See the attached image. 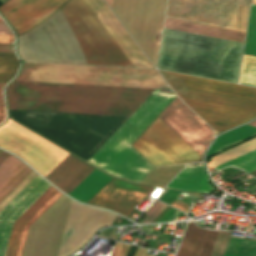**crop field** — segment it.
Returning a JSON list of instances; mask_svg holds the SVG:
<instances>
[{"instance_id":"39","label":"crop field","mask_w":256,"mask_h":256,"mask_svg":"<svg viewBox=\"0 0 256 256\" xmlns=\"http://www.w3.org/2000/svg\"><path fill=\"white\" fill-rule=\"evenodd\" d=\"M2 153V151H0V154Z\"/></svg>"},{"instance_id":"36","label":"crop field","mask_w":256,"mask_h":256,"mask_svg":"<svg viewBox=\"0 0 256 256\" xmlns=\"http://www.w3.org/2000/svg\"><path fill=\"white\" fill-rule=\"evenodd\" d=\"M7 1H9V0H0V2L3 4V3H5V2H7Z\"/></svg>"},{"instance_id":"35","label":"crop field","mask_w":256,"mask_h":256,"mask_svg":"<svg viewBox=\"0 0 256 256\" xmlns=\"http://www.w3.org/2000/svg\"><path fill=\"white\" fill-rule=\"evenodd\" d=\"M248 125H251V126L256 127V120H255V121H253V122H251V123H249Z\"/></svg>"},{"instance_id":"9","label":"crop field","mask_w":256,"mask_h":256,"mask_svg":"<svg viewBox=\"0 0 256 256\" xmlns=\"http://www.w3.org/2000/svg\"><path fill=\"white\" fill-rule=\"evenodd\" d=\"M158 117L202 157L212 132L184 103L176 98Z\"/></svg>"},{"instance_id":"22","label":"crop field","mask_w":256,"mask_h":256,"mask_svg":"<svg viewBox=\"0 0 256 256\" xmlns=\"http://www.w3.org/2000/svg\"><path fill=\"white\" fill-rule=\"evenodd\" d=\"M227 166H234V167H236L238 169H242L248 173L256 170V150L249 154H246L242 157H239L233 161H230L224 165H221L215 169H216V171H218Z\"/></svg>"},{"instance_id":"16","label":"crop field","mask_w":256,"mask_h":256,"mask_svg":"<svg viewBox=\"0 0 256 256\" xmlns=\"http://www.w3.org/2000/svg\"><path fill=\"white\" fill-rule=\"evenodd\" d=\"M31 171L11 155L0 165V203Z\"/></svg>"},{"instance_id":"11","label":"crop field","mask_w":256,"mask_h":256,"mask_svg":"<svg viewBox=\"0 0 256 256\" xmlns=\"http://www.w3.org/2000/svg\"><path fill=\"white\" fill-rule=\"evenodd\" d=\"M134 67L154 68L103 0L85 1Z\"/></svg>"},{"instance_id":"15","label":"crop field","mask_w":256,"mask_h":256,"mask_svg":"<svg viewBox=\"0 0 256 256\" xmlns=\"http://www.w3.org/2000/svg\"><path fill=\"white\" fill-rule=\"evenodd\" d=\"M218 233L200 229L190 222L176 256H210Z\"/></svg>"},{"instance_id":"37","label":"crop field","mask_w":256,"mask_h":256,"mask_svg":"<svg viewBox=\"0 0 256 256\" xmlns=\"http://www.w3.org/2000/svg\"><path fill=\"white\" fill-rule=\"evenodd\" d=\"M0 22H4L3 19L0 17Z\"/></svg>"},{"instance_id":"14","label":"crop field","mask_w":256,"mask_h":256,"mask_svg":"<svg viewBox=\"0 0 256 256\" xmlns=\"http://www.w3.org/2000/svg\"><path fill=\"white\" fill-rule=\"evenodd\" d=\"M94 169L69 154L45 178L68 195Z\"/></svg>"},{"instance_id":"8","label":"crop field","mask_w":256,"mask_h":256,"mask_svg":"<svg viewBox=\"0 0 256 256\" xmlns=\"http://www.w3.org/2000/svg\"><path fill=\"white\" fill-rule=\"evenodd\" d=\"M143 134L176 164L203 161L159 118ZM143 134L132 144L142 155L154 166L175 164Z\"/></svg>"},{"instance_id":"5","label":"crop field","mask_w":256,"mask_h":256,"mask_svg":"<svg viewBox=\"0 0 256 256\" xmlns=\"http://www.w3.org/2000/svg\"><path fill=\"white\" fill-rule=\"evenodd\" d=\"M16 81L168 87L155 70L26 63Z\"/></svg>"},{"instance_id":"31","label":"crop field","mask_w":256,"mask_h":256,"mask_svg":"<svg viewBox=\"0 0 256 256\" xmlns=\"http://www.w3.org/2000/svg\"><path fill=\"white\" fill-rule=\"evenodd\" d=\"M5 84H0V105H4L3 101V94H2V88L4 87Z\"/></svg>"},{"instance_id":"27","label":"crop field","mask_w":256,"mask_h":256,"mask_svg":"<svg viewBox=\"0 0 256 256\" xmlns=\"http://www.w3.org/2000/svg\"><path fill=\"white\" fill-rule=\"evenodd\" d=\"M171 206H173V207H175V208H177V209H180V210H183V211H185V212H187L188 211V205H186V204H184V203H181V202H179V201H177V200H175L172 204H171Z\"/></svg>"},{"instance_id":"25","label":"crop field","mask_w":256,"mask_h":256,"mask_svg":"<svg viewBox=\"0 0 256 256\" xmlns=\"http://www.w3.org/2000/svg\"><path fill=\"white\" fill-rule=\"evenodd\" d=\"M165 204L157 202L152 208H150L145 215L149 216L143 223H150L158 214L161 213V209ZM167 207V205L162 209V211Z\"/></svg>"},{"instance_id":"18","label":"crop field","mask_w":256,"mask_h":256,"mask_svg":"<svg viewBox=\"0 0 256 256\" xmlns=\"http://www.w3.org/2000/svg\"><path fill=\"white\" fill-rule=\"evenodd\" d=\"M166 29L220 38L243 43L245 34L166 19Z\"/></svg>"},{"instance_id":"26","label":"crop field","mask_w":256,"mask_h":256,"mask_svg":"<svg viewBox=\"0 0 256 256\" xmlns=\"http://www.w3.org/2000/svg\"><path fill=\"white\" fill-rule=\"evenodd\" d=\"M0 34L13 35V32L10 30L6 23H0Z\"/></svg>"},{"instance_id":"28","label":"crop field","mask_w":256,"mask_h":256,"mask_svg":"<svg viewBox=\"0 0 256 256\" xmlns=\"http://www.w3.org/2000/svg\"><path fill=\"white\" fill-rule=\"evenodd\" d=\"M0 52H14L13 44H0Z\"/></svg>"},{"instance_id":"17","label":"crop field","mask_w":256,"mask_h":256,"mask_svg":"<svg viewBox=\"0 0 256 256\" xmlns=\"http://www.w3.org/2000/svg\"><path fill=\"white\" fill-rule=\"evenodd\" d=\"M208 181L204 165L191 166L186 167L167 188L207 193L213 189Z\"/></svg>"},{"instance_id":"32","label":"crop field","mask_w":256,"mask_h":256,"mask_svg":"<svg viewBox=\"0 0 256 256\" xmlns=\"http://www.w3.org/2000/svg\"><path fill=\"white\" fill-rule=\"evenodd\" d=\"M171 207H167L157 218H155L151 223L156 222L162 215H164ZM163 217V216H162Z\"/></svg>"},{"instance_id":"30","label":"crop field","mask_w":256,"mask_h":256,"mask_svg":"<svg viewBox=\"0 0 256 256\" xmlns=\"http://www.w3.org/2000/svg\"><path fill=\"white\" fill-rule=\"evenodd\" d=\"M6 118L4 106H0V124L4 122Z\"/></svg>"},{"instance_id":"20","label":"crop field","mask_w":256,"mask_h":256,"mask_svg":"<svg viewBox=\"0 0 256 256\" xmlns=\"http://www.w3.org/2000/svg\"><path fill=\"white\" fill-rule=\"evenodd\" d=\"M19 67V61L14 53H0V82L12 79Z\"/></svg>"},{"instance_id":"1","label":"crop field","mask_w":256,"mask_h":256,"mask_svg":"<svg viewBox=\"0 0 256 256\" xmlns=\"http://www.w3.org/2000/svg\"><path fill=\"white\" fill-rule=\"evenodd\" d=\"M67 1L10 0L0 12L20 36ZM53 15L90 64L133 67L83 0H70Z\"/></svg>"},{"instance_id":"19","label":"crop field","mask_w":256,"mask_h":256,"mask_svg":"<svg viewBox=\"0 0 256 256\" xmlns=\"http://www.w3.org/2000/svg\"><path fill=\"white\" fill-rule=\"evenodd\" d=\"M254 149H256V138L213 157L212 162L208 163V167L214 168Z\"/></svg>"},{"instance_id":"3","label":"crop field","mask_w":256,"mask_h":256,"mask_svg":"<svg viewBox=\"0 0 256 256\" xmlns=\"http://www.w3.org/2000/svg\"><path fill=\"white\" fill-rule=\"evenodd\" d=\"M159 71L177 95L218 133L256 117V88Z\"/></svg>"},{"instance_id":"29","label":"crop field","mask_w":256,"mask_h":256,"mask_svg":"<svg viewBox=\"0 0 256 256\" xmlns=\"http://www.w3.org/2000/svg\"><path fill=\"white\" fill-rule=\"evenodd\" d=\"M14 36H2L0 35V43H13Z\"/></svg>"},{"instance_id":"21","label":"crop field","mask_w":256,"mask_h":256,"mask_svg":"<svg viewBox=\"0 0 256 256\" xmlns=\"http://www.w3.org/2000/svg\"><path fill=\"white\" fill-rule=\"evenodd\" d=\"M239 84L256 87V57H243Z\"/></svg>"},{"instance_id":"38","label":"crop field","mask_w":256,"mask_h":256,"mask_svg":"<svg viewBox=\"0 0 256 256\" xmlns=\"http://www.w3.org/2000/svg\"><path fill=\"white\" fill-rule=\"evenodd\" d=\"M253 4H256V0L253 1Z\"/></svg>"},{"instance_id":"2","label":"crop field","mask_w":256,"mask_h":256,"mask_svg":"<svg viewBox=\"0 0 256 256\" xmlns=\"http://www.w3.org/2000/svg\"><path fill=\"white\" fill-rule=\"evenodd\" d=\"M155 89L14 82L10 109L132 115Z\"/></svg>"},{"instance_id":"6","label":"crop field","mask_w":256,"mask_h":256,"mask_svg":"<svg viewBox=\"0 0 256 256\" xmlns=\"http://www.w3.org/2000/svg\"><path fill=\"white\" fill-rule=\"evenodd\" d=\"M248 4L249 0H169L166 18L231 27L235 6ZM248 11L249 7H236L232 28L197 23L245 33Z\"/></svg>"},{"instance_id":"23","label":"crop field","mask_w":256,"mask_h":256,"mask_svg":"<svg viewBox=\"0 0 256 256\" xmlns=\"http://www.w3.org/2000/svg\"><path fill=\"white\" fill-rule=\"evenodd\" d=\"M220 232L211 256H223L231 236Z\"/></svg>"},{"instance_id":"12","label":"crop field","mask_w":256,"mask_h":256,"mask_svg":"<svg viewBox=\"0 0 256 256\" xmlns=\"http://www.w3.org/2000/svg\"><path fill=\"white\" fill-rule=\"evenodd\" d=\"M51 185L37 176L1 213H0V256H4L13 223L50 187Z\"/></svg>"},{"instance_id":"13","label":"crop field","mask_w":256,"mask_h":256,"mask_svg":"<svg viewBox=\"0 0 256 256\" xmlns=\"http://www.w3.org/2000/svg\"><path fill=\"white\" fill-rule=\"evenodd\" d=\"M52 186L14 223L5 256H21L29 227L61 196Z\"/></svg>"},{"instance_id":"33","label":"crop field","mask_w":256,"mask_h":256,"mask_svg":"<svg viewBox=\"0 0 256 256\" xmlns=\"http://www.w3.org/2000/svg\"><path fill=\"white\" fill-rule=\"evenodd\" d=\"M9 156V154L3 152L1 155H0V164Z\"/></svg>"},{"instance_id":"7","label":"crop field","mask_w":256,"mask_h":256,"mask_svg":"<svg viewBox=\"0 0 256 256\" xmlns=\"http://www.w3.org/2000/svg\"><path fill=\"white\" fill-rule=\"evenodd\" d=\"M0 147L25 160L44 177L69 154L11 120L0 127Z\"/></svg>"},{"instance_id":"10","label":"crop field","mask_w":256,"mask_h":256,"mask_svg":"<svg viewBox=\"0 0 256 256\" xmlns=\"http://www.w3.org/2000/svg\"><path fill=\"white\" fill-rule=\"evenodd\" d=\"M151 187L133 185L113 179L88 205L106 208L128 218L133 208L146 196Z\"/></svg>"},{"instance_id":"24","label":"crop field","mask_w":256,"mask_h":256,"mask_svg":"<svg viewBox=\"0 0 256 256\" xmlns=\"http://www.w3.org/2000/svg\"><path fill=\"white\" fill-rule=\"evenodd\" d=\"M132 245L117 243L112 256H127ZM146 249L138 248L135 256H145Z\"/></svg>"},{"instance_id":"34","label":"crop field","mask_w":256,"mask_h":256,"mask_svg":"<svg viewBox=\"0 0 256 256\" xmlns=\"http://www.w3.org/2000/svg\"><path fill=\"white\" fill-rule=\"evenodd\" d=\"M106 2H107V4L110 6V8H111V6H112V0H105Z\"/></svg>"},{"instance_id":"4","label":"crop field","mask_w":256,"mask_h":256,"mask_svg":"<svg viewBox=\"0 0 256 256\" xmlns=\"http://www.w3.org/2000/svg\"><path fill=\"white\" fill-rule=\"evenodd\" d=\"M175 97L156 90L88 162L114 176L139 182L153 167L129 144Z\"/></svg>"}]
</instances>
